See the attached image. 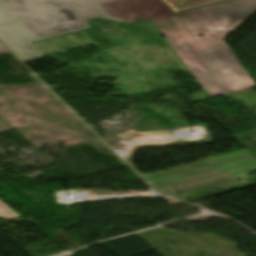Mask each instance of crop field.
Masks as SVG:
<instances>
[{"label": "crop field", "instance_id": "8a807250", "mask_svg": "<svg viewBox=\"0 0 256 256\" xmlns=\"http://www.w3.org/2000/svg\"><path fill=\"white\" fill-rule=\"evenodd\" d=\"M256 11V0H234L174 14L167 6L143 11L210 97L255 87L222 39ZM202 37H199V36Z\"/></svg>", "mask_w": 256, "mask_h": 256}, {"label": "crop field", "instance_id": "ac0d7876", "mask_svg": "<svg viewBox=\"0 0 256 256\" xmlns=\"http://www.w3.org/2000/svg\"><path fill=\"white\" fill-rule=\"evenodd\" d=\"M113 0H0V41L23 63L44 56L30 42L90 26Z\"/></svg>", "mask_w": 256, "mask_h": 256}, {"label": "crop field", "instance_id": "34b2d1b8", "mask_svg": "<svg viewBox=\"0 0 256 256\" xmlns=\"http://www.w3.org/2000/svg\"><path fill=\"white\" fill-rule=\"evenodd\" d=\"M160 0H118L100 4L103 11L110 16L126 19L120 21L127 23L130 21L148 18L140 11L163 6Z\"/></svg>", "mask_w": 256, "mask_h": 256}, {"label": "crop field", "instance_id": "412701ff", "mask_svg": "<svg viewBox=\"0 0 256 256\" xmlns=\"http://www.w3.org/2000/svg\"><path fill=\"white\" fill-rule=\"evenodd\" d=\"M17 217H19V215L0 201V218L15 219Z\"/></svg>", "mask_w": 256, "mask_h": 256}, {"label": "crop field", "instance_id": "f4fd0767", "mask_svg": "<svg viewBox=\"0 0 256 256\" xmlns=\"http://www.w3.org/2000/svg\"><path fill=\"white\" fill-rule=\"evenodd\" d=\"M99 18H103V19H109V20H115V21H120V20H123V19L114 18V17H110V16L99 17Z\"/></svg>", "mask_w": 256, "mask_h": 256}, {"label": "crop field", "instance_id": "dd49c442", "mask_svg": "<svg viewBox=\"0 0 256 256\" xmlns=\"http://www.w3.org/2000/svg\"><path fill=\"white\" fill-rule=\"evenodd\" d=\"M7 51L0 45V54L1 53H6Z\"/></svg>", "mask_w": 256, "mask_h": 256}]
</instances>
